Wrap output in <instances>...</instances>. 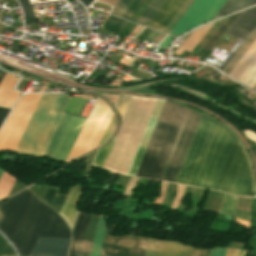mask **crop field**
Segmentation results:
<instances>
[{
    "instance_id": "26",
    "label": "crop field",
    "mask_w": 256,
    "mask_h": 256,
    "mask_svg": "<svg viewBox=\"0 0 256 256\" xmlns=\"http://www.w3.org/2000/svg\"><path fill=\"white\" fill-rule=\"evenodd\" d=\"M104 232H105V228H104L102 219L100 217L98 227H97V231H96V235H95L93 248H92V252H91V256H99V252H100Z\"/></svg>"
},
{
    "instance_id": "39",
    "label": "crop field",
    "mask_w": 256,
    "mask_h": 256,
    "mask_svg": "<svg viewBox=\"0 0 256 256\" xmlns=\"http://www.w3.org/2000/svg\"><path fill=\"white\" fill-rule=\"evenodd\" d=\"M233 1L234 0H227L226 3L223 5V7L220 9V11L217 13V15L214 17V19L224 15V13L230 7V5L233 3Z\"/></svg>"
},
{
    "instance_id": "42",
    "label": "crop field",
    "mask_w": 256,
    "mask_h": 256,
    "mask_svg": "<svg viewBox=\"0 0 256 256\" xmlns=\"http://www.w3.org/2000/svg\"><path fill=\"white\" fill-rule=\"evenodd\" d=\"M159 35V33H156V32H154V31H152L150 34H148L147 36H146V38H149V39H151V40H153L155 37H157Z\"/></svg>"
},
{
    "instance_id": "5",
    "label": "crop field",
    "mask_w": 256,
    "mask_h": 256,
    "mask_svg": "<svg viewBox=\"0 0 256 256\" xmlns=\"http://www.w3.org/2000/svg\"><path fill=\"white\" fill-rule=\"evenodd\" d=\"M112 115L107 104L97 98L65 163L96 149Z\"/></svg>"
},
{
    "instance_id": "13",
    "label": "crop field",
    "mask_w": 256,
    "mask_h": 256,
    "mask_svg": "<svg viewBox=\"0 0 256 256\" xmlns=\"http://www.w3.org/2000/svg\"><path fill=\"white\" fill-rule=\"evenodd\" d=\"M71 239L39 238L32 256H67Z\"/></svg>"
},
{
    "instance_id": "36",
    "label": "crop field",
    "mask_w": 256,
    "mask_h": 256,
    "mask_svg": "<svg viewBox=\"0 0 256 256\" xmlns=\"http://www.w3.org/2000/svg\"><path fill=\"white\" fill-rule=\"evenodd\" d=\"M59 187L50 186L44 201L50 206Z\"/></svg>"
},
{
    "instance_id": "29",
    "label": "crop field",
    "mask_w": 256,
    "mask_h": 256,
    "mask_svg": "<svg viewBox=\"0 0 256 256\" xmlns=\"http://www.w3.org/2000/svg\"><path fill=\"white\" fill-rule=\"evenodd\" d=\"M193 2V0H186L180 10L177 12V14L174 16V18L171 20V22L168 24V26L165 28L164 32L170 33V31L173 29L175 24L178 22V20L181 18V16L184 14V12L187 10V8L190 6V4Z\"/></svg>"
},
{
    "instance_id": "10",
    "label": "crop field",
    "mask_w": 256,
    "mask_h": 256,
    "mask_svg": "<svg viewBox=\"0 0 256 256\" xmlns=\"http://www.w3.org/2000/svg\"><path fill=\"white\" fill-rule=\"evenodd\" d=\"M148 239L104 236L100 256H144Z\"/></svg>"
},
{
    "instance_id": "38",
    "label": "crop field",
    "mask_w": 256,
    "mask_h": 256,
    "mask_svg": "<svg viewBox=\"0 0 256 256\" xmlns=\"http://www.w3.org/2000/svg\"><path fill=\"white\" fill-rule=\"evenodd\" d=\"M113 128H114V116L112 117V119H111V121H110V123H109V125H108V127H107V129H106V131H105V133H104L100 143H99V145H101L102 143H104L107 140V138L109 137V135L112 132Z\"/></svg>"
},
{
    "instance_id": "14",
    "label": "crop field",
    "mask_w": 256,
    "mask_h": 256,
    "mask_svg": "<svg viewBox=\"0 0 256 256\" xmlns=\"http://www.w3.org/2000/svg\"><path fill=\"white\" fill-rule=\"evenodd\" d=\"M255 27L256 7L244 11L240 15V17L226 31V34L246 39L247 36L254 30Z\"/></svg>"
},
{
    "instance_id": "46",
    "label": "crop field",
    "mask_w": 256,
    "mask_h": 256,
    "mask_svg": "<svg viewBox=\"0 0 256 256\" xmlns=\"http://www.w3.org/2000/svg\"><path fill=\"white\" fill-rule=\"evenodd\" d=\"M5 73L0 71V81L2 80V78L4 77Z\"/></svg>"
},
{
    "instance_id": "50",
    "label": "crop field",
    "mask_w": 256,
    "mask_h": 256,
    "mask_svg": "<svg viewBox=\"0 0 256 256\" xmlns=\"http://www.w3.org/2000/svg\"><path fill=\"white\" fill-rule=\"evenodd\" d=\"M252 89L256 90V84H255V86Z\"/></svg>"
},
{
    "instance_id": "12",
    "label": "crop field",
    "mask_w": 256,
    "mask_h": 256,
    "mask_svg": "<svg viewBox=\"0 0 256 256\" xmlns=\"http://www.w3.org/2000/svg\"><path fill=\"white\" fill-rule=\"evenodd\" d=\"M165 101L157 100L127 175L135 176Z\"/></svg>"
},
{
    "instance_id": "4",
    "label": "crop field",
    "mask_w": 256,
    "mask_h": 256,
    "mask_svg": "<svg viewBox=\"0 0 256 256\" xmlns=\"http://www.w3.org/2000/svg\"><path fill=\"white\" fill-rule=\"evenodd\" d=\"M185 109L165 102L136 176L159 179Z\"/></svg>"
},
{
    "instance_id": "6",
    "label": "crop field",
    "mask_w": 256,
    "mask_h": 256,
    "mask_svg": "<svg viewBox=\"0 0 256 256\" xmlns=\"http://www.w3.org/2000/svg\"><path fill=\"white\" fill-rule=\"evenodd\" d=\"M217 190L256 196L249 160L238 140Z\"/></svg>"
},
{
    "instance_id": "51",
    "label": "crop field",
    "mask_w": 256,
    "mask_h": 256,
    "mask_svg": "<svg viewBox=\"0 0 256 256\" xmlns=\"http://www.w3.org/2000/svg\"><path fill=\"white\" fill-rule=\"evenodd\" d=\"M2 172H3V170L0 169V176H1Z\"/></svg>"
},
{
    "instance_id": "15",
    "label": "crop field",
    "mask_w": 256,
    "mask_h": 256,
    "mask_svg": "<svg viewBox=\"0 0 256 256\" xmlns=\"http://www.w3.org/2000/svg\"><path fill=\"white\" fill-rule=\"evenodd\" d=\"M185 0H166L148 27L163 31Z\"/></svg>"
},
{
    "instance_id": "45",
    "label": "crop field",
    "mask_w": 256,
    "mask_h": 256,
    "mask_svg": "<svg viewBox=\"0 0 256 256\" xmlns=\"http://www.w3.org/2000/svg\"><path fill=\"white\" fill-rule=\"evenodd\" d=\"M128 25V22H125V24L123 25V27L119 30V33H121Z\"/></svg>"
},
{
    "instance_id": "17",
    "label": "crop field",
    "mask_w": 256,
    "mask_h": 256,
    "mask_svg": "<svg viewBox=\"0 0 256 256\" xmlns=\"http://www.w3.org/2000/svg\"><path fill=\"white\" fill-rule=\"evenodd\" d=\"M19 78L6 73L0 83V106L12 107L20 93L14 91Z\"/></svg>"
},
{
    "instance_id": "11",
    "label": "crop field",
    "mask_w": 256,
    "mask_h": 256,
    "mask_svg": "<svg viewBox=\"0 0 256 256\" xmlns=\"http://www.w3.org/2000/svg\"><path fill=\"white\" fill-rule=\"evenodd\" d=\"M209 252L180 243L149 239L145 256H209Z\"/></svg>"
},
{
    "instance_id": "25",
    "label": "crop field",
    "mask_w": 256,
    "mask_h": 256,
    "mask_svg": "<svg viewBox=\"0 0 256 256\" xmlns=\"http://www.w3.org/2000/svg\"><path fill=\"white\" fill-rule=\"evenodd\" d=\"M242 13V12H241ZM233 15L228 18V20L222 25V27L217 31L209 43L205 46L204 50L210 51L211 48L216 44V42L221 38L224 32L230 27V25L239 17V15Z\"/></svg>"
},
{
    "instance_id": "34",
    "label": "crop field",
    "mask_w": 256,
    "mask_h": 256,
    "mask_svg": "<svg viewBox=\"0 0 256 256\" xmlns=\"http://www.w3.org/2000/svg\"><path fill=\"white\" fill-rule=\"evenodd\" d=\"M251 1L252 0H235V2L229 8V10L226 12V14L235 12L239 9H242V8L248 6Z\"/></svg>"
},
{
    "instance_id": "31",
    "label": "crop field",
    "mask_w": 256,
    "mask_h": 256,
    "mask_svg": "<svg viewBox=\"0 0 256 256\" xmlns=\"http://www.w3.org/2000/svg\"><path fill=\"white\" fill-rule=\"evenodd\" d=\"M21 7H22V10H23V14H24V17L26 18V20L28 22H33V23H37L36 21V17L33 13V10L28 2V0H18Z\"/></svg>"
},
{
    "instance_id": "2",
    "label": "crop field",
    "mask_w": 256,
    "mask_h": 256,
    "mask_svg": "<svg viewBox=\"0 0 256 256\" xmlns=\"http://www.w3.org/2000/svg\"><path fill=\"white\" fill-rule=\"evenodd\" d=\"M0 228L21 256H31L38 237L71 238L63 219L29 189L1 204Z\"/></svg>"
},
{
    "instance_id": "19",
    "label": "crop field",
    "mask_w": 256,
    "mask_h": 256,
    "mask_svg": "<svg viewBox=\"0 0 256 256\" xmlns=\"http://www.w3.org/2000/svg\"><path fill=\"white\" fill-rule=\"evenodd\" d=\"M256 58V41L252 44V46L248 49L245 55L241 58V60L237 63L234 69L228 75L229 77L239 80L245 70L249 67L252 61Z\"/></svg>"
},
{
    "instance_id": "21",
    "label": "crop field",
    "mask_w": 256,
    "mask_h": 256,
    "mask_svg": "<svg viewBox=\"0 0 256 256\" xmlns=\"http://www.w3.org/2000/svg\"><path fill=\"white\" fill-rule=\"evenodd\" d=\"M214 23V22H213ZM213 23L204 26L194 32L189 36L184 45L174 52L179 56L184 50L191 52L192 49L196 46V44L200 41V39L205 35V33L209 30V28L213 25ZM194 50V49H193Z\"/></svg>"
},
{
    "instance_id": "27",
    "label": "crop field",
    "mask_w": 256,
    "mask_h": 256,
    "mask_svg": "<svg viewBox=\"0 0 256 256\" xmlns=\"http://www.w3.org/2000/svg\"><path fill=\"white\" fill-rule=\"evenodd\" d=\"M239 82L251 88L254 86V84L256 83V59L253 61L250 67L246 70V72L240 78Z\"/></svg>"
},
{
    "instance_id": "49",
    "label": "crop field",
    "mask_w": 256,
    "mask_h": 256,
    "mask_svg": "<svg viewBox=\"0 0 256 256\" xmlns=\"http://www.w3.org/2000/svg\"><path fill=\"white\" fill-rule=\"evenodd\" d=\"M253 3H256V0H253V1L250 3V5L253 4Z\"/></svg>"
},
{
    "instance_id": "53",
    "label": "crop field",
    "mask_w": 256,
    "mask_h": 256,
    "mask_svg": "<svg viewBox=\"0 0 256 256\" xmlns=\"http://www.w3.org/2000/svg\"><path fill=\"white\" fill-rule=\"evenodd\" d=\"M255 157H256V152H255Z\"/></svg>"
},
{
    "instance_id": "22",
    "label": "crop field",
    "mask_w": 256,
    "mask_h": 256,
    "mask_svg": "<svg viewBox=\"0 0 256 256\" xmlns=\"http://www.w3.org/2000/svg\"><path fill=\"white\" fill-rule=\"evenodd\" d=\"M98 219L99 215L91 214L81 256H90Z\"/></svg>"
},
{
    "instance_id": "28",
    "label": "crop field",
    "mask_w": 256,
    "mask_h": 256,
    "mask_svg": "<svg viewBox=\"0 0 256 256\" xmlns=\"http://www.w3.org/2000/svg\"><path fill=\"white\" fill-rule=\"evenodd\" d=\"M115 138L112 141H110L107 145H105L103 148L99 149L97 156L94 160V164L96 166L102 167V168L104 167Z\"/></svg>"
},
{
    "instance_id": "24",
    "label": "crop field",
    "mask_w": 256,
    "mask_h": 256,
    "mask_svg": "<svg viewBox=\"0 0 256 256\" xmlns=\"http://www.w3.org/2000/svg\"><path fill=\"white\" fill-rule=\"evenodd\" d=\"M163 2L164 0H152V2L137 20V23L146 26V24L149 22V20L152 18V16L155 14V12L158 10Z\"/></svg>"
},
{
    "instance_id": "44",
    "label": "crop field",
    "mask_w": 256,
    "mask_h": 256,
    "mask_svg": "<svg viewBox=\"0 0 256 256\" xmlns=\"http://www.w3.org/2000/svg\"><path fill=\"white\" fill-rule=\"evenodd\" d=\"M83 4L89 5L93 0H80Z\"/></svg>"
},
{
    "instance_id": "30",
    "label": "crop field",
    "mask_w": 256,
    "mask_h": 256,
    "mask_svg": "<svg viewBox=\"0 0 256 256\" xmlns=\"http://www.w3.org/2000/svg\"><path fill=\"white\" fill-rule=\"evenodd\" d=\"M134 0H120L114 9L111 11V14L116 15L120 18L125 14L127 9L130 7Z\"/></svg>"
},
{
    "instance_id": "9",
    "label": "crop field",
    "mask_w": 256,
    "mask_h": 256,
    "mask_svg": "<svg viewBox=\"0 0 256 256\" xmlns=\"http://www.w3.org/2000/svg\"><path fill=\"white\" fill-rule=\"evenodd\" d=\"M226 0H195L171 34L184 33L212 20Z\"/></svg>"
},
{
    "instance_id": "43",
    "label": "crop field",
    "mask_w": 256,
    "mask_h": 256,
    "mask_svg": "<svg viewBox=\"0 0 256 256\" xmlns=\"http://www.w3.org/2000/svg\"><path fill=\"white\" fill-rule=\"evenodd\" d=\"M129 25H130V23H129ZM129 25H128V27H129ZM132 26H133V24H131V26H130L129 28L127 27L128 30L126 31V29H127V28H126V29L122 32L121 35H123V33H124L125 31H126V32H125V34H126ZM134 26H135V25H134ZM134 26L130 29V31L126 34V36H128V34L131 32V30L134 28ZM125 34H124V35H125Z\"/></svg>"
},
{
    "instance_id": "41",
    "label": "crop field",
    "mask_w": 256,
    "mask_h": 256,
    "mask_svg": "<svg viewBox=\"0 0 256 256\" xmlns=\"http://www.w3.org/2000/svg\"><path fill=\"white\" fill-rule=\"evenodd\" d=\"M172 39H173L172 37L167 36V37L163 40V42L159 45V47H160V48H168V45L171 43Z\"/></svg>"
},
{
    "instance_id": "16",
    "label": "crop field",
    "mask_w": 256,
    "mask_h": 256,
    "mask_svg": "<svg viewBox=\"0 0 256 256\" xmlns=\"http://www.w3.org/2000/svg\"><path fill=\"white\" fill-rule=\"evenodd\" d=\"M90 214L79 212L72 230L73 241L69 256H80Z\"/></svg>"
},
{
    "instance_id": "1",
    "label": "crop field",
    "mask_w": 256,
    "mask_h": 256,
    "mask_svg": "<svg viewBox=\"0 0 256 256\" xmlns=\"http://www.w3.org/2000/svg\"><path fill=\"white\" fill-rule=\"evenodd\" d=\"M201 116L186 109L159 180L176 181ZM236 140L227 127L202 116L176 182L216 190Z\"/></svg>"
},
{
    "instance_id": "52",
    "label": "crop field",
    "mask_w": 256,
    "mask_h": 256,
    "mask_svg": "<svg viewBox=\"0 0 256 256\" xmlns=\"http://www.w3.org/2000/svg\"><path fill=\"white\" fill-rule=\"evenodd\" d=\"M117 35H118V34H117ZM119 36H120V35H119ZM122 37H123V36H121V39H122ZM121 39H120V40H121ZM120 40H119V41H120ZM119 41H118V42H119ZM118 42H116V44H117Z\"/></svg>"
},
{
    "instance_id": "47",
    "label": "crop field",
    "mask_w": 256,
    "mask_h": 256,
    "mask_svg": "<svg viewBox=\"0 0 256 256\" xmlns=\"http://www.w3.org/2000/svg\"><path fill=\"white\" fill-rule=\"evenodd\" d=\"M124 24V21L122 22V24L120 25V27ZM120 27H118V29L116 30V33L118 32V30L120 29Z\"/></svg>"
},
{
    "instance_id": "23",
    "label": "crop field",
    "mask_w": 256,
    "mask_h": 256,
    "mask_svg": "<svg viewBox=\"0 0 256 256\" xmlns=\"http://www.w3.org/2000/svg\"><path fill=\"white\" fill-rule=\"evenodd\" d=\"M238 197L224 195L218 213L235 216Z\"/></svg>"
},
{
    "instance_id": "20",
    "label": "crop field",
    "mask_w": 256,
    "mask_h": 256,
    "mask_svg": "<svg viewBox=\"0 0 256 256\" xmlns=\"http://www.w3.org/2000/svg\"><path fill=\"white\" fill-rule=\"evenodd\" d=\"M248 37V36H247ZM256 40V29L251 33V35L244 41V43L240 46V48L236 51V53L231 57V59L227 62V64L223 67L221 71L225 74H229V72L233 69L236 63L240 60V58L244 55L247 49L251 46V44Z\"/></svg>"
},
{
    "instance_id": "7",
    "label": "crop field",
    "mask_w": 256,
    "mask_h": 256,
    "mask_svg": "<svg viewBox=\"0 0 256 256\" xmlns=\"http://www.w3.org/2000/svg\"><path fill=\"white\" fill-rule=\"evenodd\" d=\"M41 94L22 96L8 120L0 130V151H13Z\"/></svg>"
},
{
    "instance_id": "37",
    "label": "crop field",
    "mask_w": 256,
    "mask_h": 256,
    "mask_svg": "<svg viewBox=\"0 0 256 256\" xmlns=\"http://www.w3.org/2000/svg\"><path fill=\"white\" fill-rule=\"evenodd\" d=\"M143 0H135L134 3L131 5L129 10L126 12V14L123 16V19L129 20L130 17L133 15V13L136 11V9L139 7V5L142 3Z\"/></svg>"
},
{
    "instance_id": "48",
    "label": "crop field",
    "mask_w": 256,
    "mask_h": 256,
    "mask_svg": "<svg viewBox=\"0 0 256 256\" xmlns=\"http://www.w3.org/2000/svg\"><path fill=\"white\" fill-rule=\"evenodd\" d=\"M245 252H246V251H242V252H241V256H244Z\"/></svg>"
},
{
    "instance_id": "8",
    "label": "crop field",
    "mask_w": 256,
    "mask_h": 256,
    "mask_svg": "<svg viewBox=\"0 0 256 256\" xmlns=\"http://www.w3.org/2000/svg\"><path fill=\"white\" fill-rule=\"evenodd\" d=\"M85 120V118L64 114L44 156L65 161Z\"/></svg>"
},
{
    "instance_id": "40",
    "label": "crop field",
    "mask_w": 256,
    "mask_h": 256,
    "mask_svg": "<svg viewBox=\"0 0 256 256\" xmlns=\"http://www.w3.org/2000/svg\"><path fill=\"white\" fill-rule=\"evenodd\" d=\"M9 111H10L9 108L0 107V125L3 122L4 118L6 117V115L8 114Z\"/></svg>"
},
{
    "instance_id": "32",
    "label": "crop field",
    "mask_w": 256,
    "mask_h": 256,
    "mask_svg": "<svg viewBox=\"0 0 256 256\" xmlns=\"http://www.w3.org/2000/svg\"><path fill=\"white\" fill-rule=\"evenodd\" d=\"M0 256H16L12 246L0 235Z\"/></svg>"
},
{
    "instance_id": "3",
    "label": "crop field",
    "mask_w": 256,
    "mask_h": 256,
    "mask_svg": "<svg viewBox=\"0 0 256 256\" xmlns=\"http://www.w3.org/2000/svg\"><path fill=\"white\" fill-rule=\"evenodd\" d=\"M67 95L43 94L14 152L41 157L63 115L59 112Z\"/></svg>"
},
{
    "instance_id": "33",
    "label": "crop field",
    "mask_w": 256,
    "mask_h": 256,
    "mask_svg": "<svg viewBox=\"0 0 256 256\" xmlns=\"http://www.w3.org/2000/svg\"><path fill=\"white\" fill-rule=\"evenodd\" d=\"M226 249L217 248L215 250H211L210 256H224ZM241 250L227 249L225 256H240Z\"/></svg>"
},
{
    "instance_id": "35",
    "label": "crop field",
    "mask_w": 256,
    "mask_h": 256,
    "mask_svg": "<svg viewBox=\"0 0 256 256\" xmlns=\"http://www.w3.org/2000/svg\"><path fill=\"white\" fill-rule=\"evenodd\" d=\"M65 199H66V196H62V195L57 194L51 207L54 210H56L58 213H60Z\"/></svg>"
},
{
    "instance_id": "18",
    "label": "crop field",
    "mask_w": 256,
    "mask_h": 256,
    "mask_svg": "<svg viewBox=\"0 0 256 256\" xmlns=\"http://www.w3.org/2000/svg\"><path fill=\"white\" fill-rule=\"evenodd\" d=\"M82 185L76 183L68 195L60 215L64 218L68 226L72 229L74 219L77 214L76 203L82 193Z\"/></svg>"
}]
</instances>
